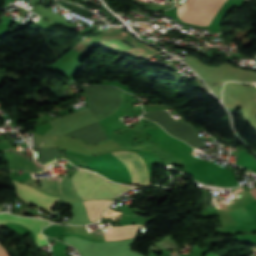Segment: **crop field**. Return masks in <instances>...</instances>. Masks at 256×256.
Returning a JSON list of instances; mask_svg holds the SVG:
<instances>
[{"label":"crop field","mask_w":256,"mask_h":256,"mask_svg":"<svg viewBox=\"0 0 256 256\" xmlns=\"http://www.w3.org/2000/svg\"><path fill=\"white\" fill-rule=\"evenodd\" d=\"M77 195L83 200L113 199L119 193L133 187L112 183L99 175L77 170L71 177Z\"/></svg>","instance_id":"1"},{"label":"crop field","mask_w":256,"mask_h":256,"mask_svg":"<svg viewBox=\"0 0 256 256\" xmlns=\"http://www.w3.org/2000/svg\"><path fill=\"white\" fill-rule=\"evenodd\" d=\"M220 0H186L178 10L181 20L191 24L202 25L212 8Z\"/></svg>","instance_id":"2"},{"label":"crop field","mask_w":256,"mask_h":256,"mask_svg":"<svg viewBox=\"0 0 256 256\" xmlns=\"http://www.w3.org/2000/svg\"><path fill=\"white\" fill-rule=\"evenodd\" d=\"M16 187L17 196L37 207L51 211L52 206L59 199L41 193L27 185L12 181Z\"/></svg>","instance_id":"3"},{"label":"crop field","mask_w":256,"mask_h":256,"mask_svg":"<svg viewBox=\"0 0 256 256\" xmlns=\"http://www.w3.org/2000/svg\"><path fill=\"white\" fill-rule=\"evenodd\" d=\"M129 167V171L133 176V183L138 185H147L148 173L143 160L134 152L118 151L114 152Z\"/></svg>","instance_id":"4"},{"label":"crop field","mask_w":256,"mask_h":256,"mask_svg":"<svg viewBox=\"0 0 256 256\" xmlns=\"http://www.w3.org/2000/svg\"><path fill=\"white\" fill-rule=\"evenodd\" d=\"M0 220L14 221V222L23 224L24 226H26L34 231V235H35V238H36L39 246L47 244L45 237H43L39 231H41V229L43 227H45L46 225L50 224V222L45 221V220H39V219L20 218V217H16L11 214H5V213L0 214ZM3 223H8V222L0 221V224H3ZM6 253L7 252L5 251V249L0 245V254H6ZM0 256H8V254L0 255Z\"/></svg>","instance_id":"5"},{"label":"crop field","mask_w":256,"mask_h":256,"mask_svg":"<svg viewBox=\"0 0 256 256\" xmlns=\"http://www.w3.org/2000/svg\"><path fill=\"white\" fill-rule=\"evenodd\" d=\"M251 194L253 195V197L256 199V188L251 189Z\"/></svg>","instance_id":"6"}]
</instances>
